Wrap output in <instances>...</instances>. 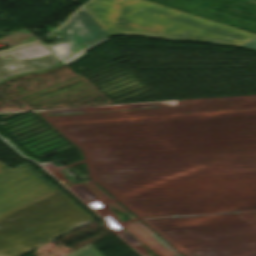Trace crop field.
Returning a JSON list of instances; mask_svg holds the SVG:
<instances>
[{"label": "crop field", "instance_id": "8a807250", "mask_svg": "<svg viewBox=\"0 0 256 256\" xmlns=\"http://www.w3.org/2000/svg\"><path fill=\"white\" fill-rule=\"evenodd\" d=\"M93 220L27 163H0V254L23 256Z\"/></svg>", "mask_w": 256, "mask_h": 256}, {"label": "crop field", "instance_id": "ac0d7876", "mask_svg": "<svg viewBox=\"0 0 256 256\" xmlns=\"http://www.w3.org/2000/svg\"><path fill=\"white\" fill-rule=\"evenodd\" d=\"M84 8L108 36L131 35L237 46L256 37L144 0H93Z\"/></svg>", "mask_w": 256, "mask_h": 256}, {"label": "crop field", "instance_id": "34b2d1b8", "mask_svg": "<svg viewBox=\"0 0 256 256\" xmlns=\"http://www.w3.org/2000/svg\"><path fill=\"white\" fill-rule=\"evenodd\" d=\"M56 32L63 37L62 40L45 45V47L60 61L85 44L107 37L84 8L74 14Z\"/></svg>", "mask_w": 256, "mask_h": 256}, {"label": "crop field", "instance_id": "412701ff", "mask_svg": "<svg viewBox=\"0 0 256 256\" xmlns=\"http://www.w3.org/2000/svg\"><path fill=\"white\" fill-rule=\"evenodd\" d=\"M37 71L7 52H0V80L24 72ZM5 80V79H4ZM3 81V80H2ZM1 82V81H0Z\"/></svg>", "mask_w": 256, "mask_h": 256}, {"label": "crop field", "instance_id": "f4fd0767", "mask_svg": "<svg viewBox=\"0 0 256 256\" xmlns=\"http://www.w3.org/2000/svg\"><path fill=\"white\" fill-rule=\"evenodd\" d=\"M8 52L21 60L50 53L43 45L38 42Z\"/></svg>", "mask_w": 256, "mask_h": 256}, {"label": "crop field", "instance_id": "dd49c442", "mask_svg": "<svg viewBox=\"0 0 256 256\" xmlns=\"http://www.w3.org/2000/svg\"><path fill=\"white\" fill-rule=\"evenodd\" d=\"M23 62L27 63L28 65L32 66L37 70H41L49 69L51 66L59 62V60L55 58L52 54H50L34 59L24 60Z\"/></svg>", "mask_w": 256, "mask_h": 256}, {"label": "crop field", "instance_id": "e52e79f7", "mask_svg": "<svg viewBox=\"0 0 256 256\" xmlns=\"http://www.w3.org/2000/svg\"><path fill=\"white\" fill-rule=\"evenodd\" d=\"M107 40H109V38L103 39V40H100V41H96V42L86 46L80 52H78L77 54L73 55L72 57H70L69 59H67L66 61H64L62 63H64L65 65H69V64H71V63H73V62H75V61L85 57L87 55V53H85L86 51L96 47L97 45H99V44H101V43H103V42H105Z\"/></svg>", "mask_w": 256, "mask_h": 256}, {"label": "crop field", "instance_id": "d8731c3e", "mask_svg": "<svg viewBox=\"0 0 256 256\" xmlns=\"http://www.w3.org/2000/svg\"><path fill=\"white\" fill-rule=\"evenodd\" d=\"M68 256H102L91 244Z\"/></svg>", "mask_w": 256, "mask_h": 256}, {"label": "crop field", "instance_id": "5a996713", "mask_svg": "<svg viewBox=\"0 0 256 256\" xmlns=\"http://www.w3.org/2000/svg\"><path fill=\"white\" fill-rule=\"evenodd\" d=\"M241 47H245V48H250V49H255L256 50V38L251 40L250 42L242 45Z\"/></svg>", "mask_w": 256, "mask_h": 256}, {"label": "crop field", "instance_id": "3316defc", "mask_svg": "<svg viewBox=\"0 0 256 256\" xmlns=\"http://www.w3.org/2000/svg\"><path fill=\"white\" fill-rule=\"evenodd\" d=\"M61 65H63V64H62V63H60V64H58L57 66H55L54 68H52V69H50V70H48V71H51V70H53V69H55V68H57V67H59V66H61ZM48 71L35 72V73H31V74L43 73V72H48ZM31 74L21 75V76L15 77V78L8 79V80H6V81H4V82H7V81H10V80H13V79L19 78V77H23V76L31 75ZM4 82H2V83H4ZM2 83H0V84H2Z\"/></svg>", "mask_w": 256, "mask_h": 256}, {"label": "crop field", "instance_id": "28ad6ade", "mask_svg": "<svg viewBox=\"0 0 256 256\" xmlns=\"http://www.w3.org/2000/svg\"><path fill=\"white\" fill-rule=\"evenodd\" d=\"M0 256H2V255H0Z\"/></svg>", "mask_w": 256, "mask_h": 256}]
</instances>
